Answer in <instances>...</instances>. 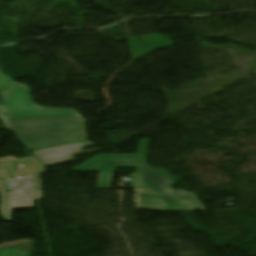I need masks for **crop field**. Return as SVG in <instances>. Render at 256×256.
<instances>
[{
  "mask_svg": "<svg viewBox=\"0 0 256 256\" xmlns=\"http://www.w3.org/2000/svg\"><path fill=\"white\" fill-rule=\"evenodd\" d=\"M0 119L31 150L87 141L84 118L73 109L41 107L31 101L29 86L0 70Z\"/></svg>",
  "mask_w": 256,
  "mask_h": 256,
  "instance_id": "8a807250",
  "label": "crop field"
},
{
  "mask_svg": "<svg viewBox=\"0 0 256 256\" xmlns=\"http://www.w3.org/2000/svg\"><path fill=\"white\" fill-rule=\"evenodd\" d=\"M149 140H140L137 155H99L69 171L100 172L96 189H110L117 167H135L131 174L137 208L156 211H204L192 192L174 191L179 179L162 168L146 165Z\"/></svg>",
  "mask_w": 256,
  "mask_h": 256,
  "instance_id": "ac0d7876",
  "label": "crop field"
},
{
  "mask_svg": "<svg viewBox=\"0 0 256 256\" xmlns=\"http://www.w3.org/2000/svg\"><path fill=\"white\" fill-rule=\"evenodd\" d=\"M5 210L33 207L32 200L41 199V178L3 180Z\"/></svg>",
  "mask_w": 256,
  "mask_h": 256,
  "instance_id": "34b2d1b8",
  "label": "crop field"
},
{
  "mask_svg": "<svg viewBox=\"0 0 256 256\" xmlns=\"http://www.w3.org/2000/svg\"><path fill=\"white\" fill-rule=\"evenodd\" d=\"M17 162L19 161L1 164L0 177L5 179V178H11L15 176L32 175L40 172L45 168L35 157H33L30 159L22 160L23 164L21 165L19 171L15 173L13 166Z\"/></svg>",
  "mask_w": 256,
  "mask_h": 256,
  "instance_id": "412701ff",
  "label": "crop field"
},
{
  "mask_svg": "<svg viewBox=\"0 0 256 256\" xmlns=\"http://www.w3.org/2000/svg\"><path fill=\"white\" fill-rule=\"evenodd\" d=\"M92 145H94V144H92V143H90V142H85V143H80V144H74V145H69V146H64V147H58V148H53V149H48V150L37 151V152H34V153H35V154H39V153L48 152V151H53V150L62 149V148L81 146V147H78V148H73V149H68V150H63V151H59V152H54V153H49V154H45V155H40V156H38L39 159L43 162V161H46V160L55 159V158H60V157H64V156L82 154V153H87V152H92V151H98V150H99V149H95V150L86 151V152H83V151L81 150L83 147L92 146ZM77 149H80V151L73 152V153H68V154H63V155H59V156H54V157H49V158H44V159H41V158H40V157H43V156H49V155L60 154V153H64V152H68V151H73V150H77ZM74 160H75V159H74L72 156H70V157H66V158H62V159H57V160H53V161H47V162H43V163H44L46 166H48V165H52V164L63 163V162L74 161Z\"/></svg>",
  "mask_w": 256,
  "mask_h": 256,
  "instance_id": "f4fd0767",
  "label": "crop field"
},
{
  "mask_svg": "<svg viewBox=\"0 0 256 256\" xmlns=\"http://www.w3.org/2000/svg\"><path fill=\"white\" fill-rule=\"evenodd\" d=\"M35 243L30 240L0 248V256H31Z\"/></svg>",
  "mask_w": 256,
  "mask_h": 256,
  "instance_id": "dd49c442",
  "label": "crop field"
},
{
  "mask_svg": "<svg viewBox=\"0 0 256 256\" xmlns=\"http://www.w3.org/2000/svg\"><path fill=\"white\" fill-rule=\"evenodd\" d=\"M0 184H1V185H0V189H2V183H1V179H0Z\"/></svg>",
  "mask_w": 256,
  "mask_h": 256,
  "instance_id": "e52e79f7",
  "label": "crop field"
}]
</instances>
